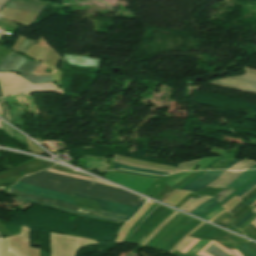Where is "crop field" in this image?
I'll return each mask as SVG.
<instances>
[{
  "instance_id": "8a807250",
  "label": "crop field",
  "mask_w": 256,
  "mask_h": 256,
  "mask_svg": "<svg viewBox=\"0 0 256 256\" xmlns=\"http://www.w3.org/2000/svg\"><path fill=\"white\" fill-rule=\"evenodd\" d=\"M53 176H58L55 178ZM20 182L54 190L57 192L71 194V192L113 201L122 204L137 206L143 199L125 190L109 187L106 185L70 178L63 175L41 171L27 175L20 179Z\"/></svg>"
},
{
  "instance_id": "ac0d7876",
  "label": "crop field",
  "mask_w": 256,
  "mask_h": 256,
  "mask_svg": "<svg viewBox=\"0 0 256 256\" xmlns=\"http://www.w3.org/2000/svg\"><path fill=\"white\" fill-rule=\"evenodd\" d=\"M0 84L4 96L31 92L63 94L62 90L53 83L33 84L16 73H0Z\"/></svg>"
},
{
  "instance_id": "34b2d1b8",
  "label": "crop field",
  "mask_w": 256,
  "mask_h": 256,
  "mask_svg": "<svg viewBox=\"0 0 256 256\" xmlns=\"http://www.w3.org/2000/svg\"><path fill=\"white\" fill-rule=\"evenodd\" d=\"M246 74L212 81V84L256 94V71L245 68Z\"/></svg>"
},
{
  "instance_id": "412701ff",
  "label": "crop field",
  "mask_w": 256,
  "mask_h": 256,
  "mask_svg": "<svg viewBox=\"0 0 256 256\" xmlns=\"http://www.w3.org/2000/svg\"><path fill=\"white\" fill-rule=\"evenodd\" d=\"M71 195L89 199V200L98 201L101 210L123 214V215L127 216L124 220H128L131 216H133L138 211V209L142 206V204L145 203V201H146L144 199L137 207H133V206L116 204V203H112V202H108V201H103V200H99V199H94V198H90V197H86V196H82V195H78V194H74V193H72Z\"/></svg>"
},
{
  "instance_id": "f4fd0767",
  "label": "crop field",
  "mask_w": 256,
  "mask_h": 256,
  "mask_svg": "<svg viewBox=\"0 0 256 256\" xmlns=\"http://www.w3.org/2000/svg\"><path fill=\"white\" fill-rule=\"evenodd\" d=\"M11 188H14V189L26 192V193L42 195V196H46V197H50V198H54V199H57V200H61V201H65V202H68V203L75 204L74 200L71 199V197L69 195H65V194L54 192V191L42 189V188L31 186V185H28V184L18 182L17 184L13 185Z\"/></svg>"
},
{
  "instance_id": "dd49c442",
  "label": "crop field",
  "mask_w": 256,
  "mask_h": 256,
  "mask_svg": "<svg viewBox=\"0 0 256 256\" xmlns=\"http://www.w3.org/2000/svg\"><path fill=\"white\" fill-rule=\"evenodd\" d=\"M39 65H40V63L29 58L23 64V66L17 71V73H19L25 79H27L33 83L51 82L54 75L35 76L34 74H32Z\"/></svg>"
},
{
  "instance_id": "e52e79f7",
  "label": "crop field",
  "mask_w": 256,
  "mask_h": 256,
  "mask_svg": "<svg viewBox=\"0 0 256 256\" xmlns=\"http://www.w3.org/2000/svg\"><path fill=\"white\" fill-rule=\"evenodd\" d=\"M47 5V2L37 0H9L5 6L41 14Z\"/></svg>"
},
{
  "instance_id": "d8731c3e",
  "label": "crop field",
  "mask_w": 256,
  "mask_h": 256,
  "mask_svg": "<svg viewBox=\"0 0 256 256\" xmlns=\"http://www.w3.org/2000/svg\"><path fill=\"white\" fill-rule=\"evenodd\" d=\"M8 193L16 195V196L23 197V198H27V199H31V200H37V201L44 202V203H49V204H52V205H59V206L66 207V208H69V209H73V210H77V211H80V212H84V213H88V214L97 215V216L102 217V215H100V214L82 211L76 205L68 204V203H65V202L57 201V200L42 197V196L26 194V193H23V192H20V191L11 189V188L9 189Z\"/></svg>"
},
{
  "instance_id": "5a996713",
  "label": "crop field",
  "mask_w": 256,
  "mask_h": 256,
  "mask_svg": "<svg viewBox=\"0 0 256 256\" xmlns=\"http://www.w3.org/2000/svg\"><path fill=\"white\" fill-rule=\"evenodd\" d=\"M224 172L225 171H206L198 179L193 181L191 184H189L182 190H189L197 193L203 187L207 186L208 184L213 182L215 179H217Z\"/></svg>"
},
{
  "instance_id": "3316defc",
  "label": "crop field",
  "mask_w": 256,
  "mask_h": 256,
  "mask_svg": "<svg viewBox=\"0 0 256 256\" xmlns=\"http://www.w3.org/2000/svg\"><path fill=\"white\" fill-rule=\"evenodd\" d=\"M27 57L12 51L0 62V72L16 71Z\"/></svg>"
},
{
  "instance_id": "28ad6ade",
  "label": "crop field",
  "mask_w": 256,
  "mask_h": 256,
  "mask_svg": "<svg viewBox=\"0 0 256 256\" xmlns=\"http://www.w3.org/2000/svg\"><path fill=\"white\" fill-rule=\"evenodd\" d=\"M256 174V170H250L243 173L239 178H237L233 183H231L225 190H223L221 193H219L215 198L219 202L222 201L224 198L229 196L231 193L235 192L239 187H241L247 180H249L253 175Z\"/></svg>"
},
{
  "instance_id": "d1516ede",
  "label": "crop field",
  "mask_w": 256,
  "mask_h": 256,
  "mask_svg": "<svg viewBox=\"0 0 256 256\" xmlns=\"http://www.w3.org/2000/svg\"><path fill=\"white\" fill-rule=\"evenodd\" d=\"M101 59L64 54V61L73 65L99 67Z\"/></svg>"
},
{
  "instance_id": "22f410ed",
  "label": "crop field",
  "mask_w": 256,
  "mask_h": 256,
  "mask_svg": "<svg viewBox=\"0 0 256 256\" xmlns=\"http://www.w3.org/2000/svg\"><path fill=\"white\" fill-rule=\"evenodd\" d=\"M243 172H229L226 171L223 175H221L216 181H214L209 186L211 187H226L232 181H234L237 177H239Z\"/></svg>"
},
{
  "instance_id": "cbeb9de0",
  "label": "crop field",
  "mask_w": 256,
  "mask_h": 256,
  "mask_svg": "<svg viewBox=\"0 0 256 256\" xmlns=\"http://www.w3.org/2000/svg\"><path fill=\"white\" fill-rule=\"evenodd\" d=\"M208 199H210V197H202L199 199H192L190 198L187 202H185L180 208L184 209L188 212L192 211L194 208H196L197 206L201 205L202 203H204L205 201H207Z\"/></svg>"
},
{
  "instance_id": "5142ce71",
  "label": "crop field",
  "mask_w": 256,
  "mask_h": 256,
  "mask_svg": "<svg viewBox=\"0 0 256 256\" xmlns=\"http://www.w3.org/2000/svg\"><path fill=\"white\" fill-rule=\"evenodd\" d=\"M215 241H211L209 244H207L201 251H199L197 254L198 255H202V256H211L207 253H205L204 251ZM217 247H219L220 249H222L223 251H225L227 254H229L230 256H243L241 253H239L237 250L234 249H229V248H225L222 247L216 243H214Z\"/></svg>"
},
{
  "instance_id": "d9b57169",
  "label": "crop field",
  "mask_w": 256,
  "mask_h": 256,
  "mask_svg": "<svg viewBox=\"0 0 256 256\" xmlns=\"http://www.w3.org/2000/svg\"><path fill=\"white\" fill-rule=\"evenodd\" d=\"M219 202L215 199H210L209 201L205 202L204 204H202L201 206H199L198 208H196L195 210H193L191 213L199 216L202 213L206 212L207 210H209L210 208L214 207L215 205H217Z\"/></svg>"
},
{
  "instance_id": "733c2abd",
  "label": "crop field",
  "mask_w": 256,
  "mask_h": 256,
  "mask_svg": "<svg viewBox=\"0 0 256 256\" xmlns=\"http://www.w3.org/2000/svg\"><path fill=\"white\" fill-rule=\"evenodd\" d=\"M114 167L121 168V169H126V170H131V171H139L143 173H149V174H157V175H168V173H163V172H157V171H151V170H145V169H139V168H134L130 166H126L123 164L115 163L113 164Z\"/></svg>"
},
{
  "instance_id": "4a817a6b",
  "label": "crop field",
  "mask_w": 256,
  "mask_h": 256,
  "mask_svg": "<svg viewBox=\"0 0 256 256\" xmlns=\"http://www.w3.org/2000/svg\"><path fill=\"white\" fill-rule=\"evenodd\" d=\"M21 199H22V198H21ZM23 200L28 201V202H31V203H35V204L47 206V207H56V206L46 205V204L38 203V202H35V201L27 200V199H23ZM56 208H57V209H60V210L67 211V212H71V213H74V214H79V215H82V216H87V217H93V218H99V219H105V220L115 221V220H111V219H107V218H101V217H96V216H92V215L83 214V213H80V212H77V211H73V210H69V209H65V208H60V207H56ZM116 222H119V221H116Z\"/></svg>"
},
{
  "instance_id": "bc2a9ffb",
  "label": "crop field",
  "mask_w": 256,
  "mask_h": 256,
  "mask_svg": "<svg viewBox=\"0 0 256 256\" xmlns=\"http://www.w3.org/2000/svg\"><path fill=\"white\" fill-rule=\"evenodd\" d=\"M247 159H242L241 161H239L238 163H236L234 166H232L230 168V170H243V169H248L251 166L255 165L256 162H252L251 160H248L247 162H245ZM245 162V163H244Z\"/></svg>"
},
{
  "instance_id": "214f88e0",
  "label": "crop field",
  "mask_w": 256,
  "mask_h": 256,
  "mask_svg": "<svg viewBox=\"0 0 256 256\" xmlns=\"http://www.w3.org/2000/svg\"><path fill=\"white\" fill-rule=\"evenodd\" d=\"M46 170L51 171V172H55V173H59V174H63V175H67V176H71V177H75V178L95 181V182H99V183H102V184H106V185L112 186V185H110V184H108L106 182H102V181H99V180H96V179H92V178H89V177H85V176L74 175V174H70V173H66V172H62V171H58V170H52V169H46Z\"/></svg>"
},
{
  "instance_id": "92a150f3",
  "label": "crop field",
  "mask_w": 256,
  "mask_h": 256,
  "mask_svg": "<svg viewBox=\"0 0 256 256\" xmlns=\"http://www.w3.org/2000/svg\"><path fill=\"white\" fill-rule=\"evenodd\" d=\"M114 161L119 162V163H123V164H126V165H130V166H134V167H140V168H146V169H152V170H158V171L171 173V170L155 168V167H150V166H144V165H138V164H134V163H131V162L119 160V159H116V158L114 159Z\"/></svg>"
},
{
  "instance_id": "dafd665d",
  "label": "crop field",
  "mask_w": 256,
  "mask_h": 256,
  "mask_svg": "<svg viewBox=\"0 0 256 256\" xmlns=\"http://www.w3.org/2000/svg\"><path fill=\"white\" fill-rule=\"evenodd\" d=\"M35 41H32L28 38L25 39V41L22 43V45L19 47L18 51L26 54L28 50L33 46Z\"/></svg>"
},
{
  "instance_id": "00972430",
  "label": "crop field",
  "mask_w": 256,
  "mask_h": 256,
  "mask_svg": "<svg viewBox=\"0 0 256 256\" xmlns=\"http://www.w3.org/2000/svg\"><path fill=\"white\" fill-rule=\"evenodd\" d=\"M206 252L212 254L213 256H229L213 244L206 250Z\"/></svg>"
},
{
  "instance_id": "a9b5d70f",
  "label": "crop field",
  "mask_w": 256,
  "mask_h": 256,
  "mask_svg": "<svg viewBox=\"0 0 256 256\" xmlns=\"http://www.w3.org/2000/svg\"><path fill=\"white\" fill-rule=\"evenodd\" d=\"M215 158L217 157H214V158H203L199 163H197L193 168H191L190 170L194 171L195 168L200 165L201 167L198 168L197 170H201L203 169L206 165H208L211 161H213Z\"/></svg>"
},
{
  "instance_id": "4177f3b9",
  "label": "crop field",
  "mask_w": 256,
  "mask_h": 256,
  "mask_svg": "<svg viewBox=\"0 0 256 256\" xmlns=\"http://www.w3.org/2000/svg\"><path fill=\"white\" fill-rule=\"evenodd\" d=\"M231 222H232V217L228 213L224 217H222L220 220H218L215 224L225 227Z\"/></svg>"
},
{
  "instance_id": "730fd06b",
  "label": "crop field",
  "mask_w": 256,
  "mask_h": 256,
  "mask_svg": "<svg viewBox=\"0 0 256 256\" xmlns=\"http://www.w3.org/2000/svg\"><path fill=\"white\" fill-rule=\"evenodd\" d=\"M209 241L208 240H201L198 244H196L188 254H196L202 247H204Z\"/></svg>"
},
{
  "instance_id": "eef30255",
  "label": "crop field",
  "mask_w": 256,
  "mask_h": 256,
  "mask_svg": "<svg viewBox=\"0 0 256 256\" xmlns=\"http://www.w3.org/2000/svg\"><path fill=\"white\" fill-rule=\"evenodd\" d=\"M0 106H1L2 111H3L4 119H6L7 121H9L11 123V119H10V116H9V113H8V109H7V106H6L5 101H4L3 98H0Z\"/></svg>"
},
{
  "instance_id": "ae1a2a85",
  "label": "crop field",
  "mask_w": 256,
  "mask_h": 256,
  "mask_svg": "<svg viewBox=\"0 0 256 256\" xmlns=\"http://www.w3.org/2000/svg\"><path fill=\"white\" fill-rule=\"evenodd\" d=\"M199 161V160H198ZM198 161H194V162H190V163H186V164H181L179 165L174 171L173 173L177 172V171H186L189 170L193 165H195Z\"/></svg>"
},
{
  "instance_id": "d3111659",
  "label": "crop field",
  "mask_w": 256,
  "mask_h": 256,
  "mask_svg": "<svg viewBox=\"0 0 256 256\" xmlns=\"http://www.w3.org/2000/svg\"><path fill=\"white\" fill-rule=\"evenodd\" d=\"M200 239L194 238L187 246H185L181 252L186 253L188 250H190Z\"/></svg>"
},
{
  "instance_id": "750c4746",
  "label": "crop field",
  "mask_w": 256,
  "mask_h": 256,
  "mask_svg": "<svg viewBox=\"0 0 256 256\" xmlns=\"http://www.w3.org/2000/svg\"><path fill=\"white\" fill-rule=\"evenodd\" d=\"M101 213L104 217L115 218V219H120V220H122L124 218V216L111 214V213H107V212H103V211H101Z\"/></svg>"
},
{
  "instance_id": "bd1437ed",
  "label": "crop field",
  "mask_w": 256,
  "mask_h": 256,
  "mask_svg": "<svg viewBox=\"0 0 256 256\" xmlns=\"http://www.w3.org/2000/svg\"><path fill=\"white\" fill-rule=\"evenodd\" d=\"M253 214H254V213H253V211H252L248 216L246 215L247 217L243 218L241 221H239V222H238L237 224H235L234 226H235V227L241 226L243 223H245L247 220H249Z\"/></svg>"
},
{
  "instance_id": "1d83c4d3",
  "label": "crop field",
  "mask_w": 256,
  "mask_h": 256,
  "mask_svg": "<svg viewBox=\"0 0 256 256\" xmlns=\"http://www.w3.org/2000/svg\"><path fill=\"white\" fill-rule=\"evenodd\" d=\"M254 195H256V189H254L251 193H249L247 196L241 198L245 203L250 200Z\"/></svg>"
},
{
  "instance_id": "120bbe31",
  "label": "crop field",
  "mask_w": 256,
  "mask_h": 256,
  "mask_svg": "<svg viewBox=\"0 0 256 256\" xmlns=\"http://www.w3.org/2000/svg\"><path fill=\"white\" fill-rule=\"evenodd\" d=\"M222 210H224L223 208H218L217 210H215L214 212H212L211 214H209L208 216H206L204 219H211L213 216H215L216 214H218L219 212H221Z\"/></svg>"
},
{
  "instance_id": "d32e631a",
  "label": "crop field",
  "mask_w": 256,
  "mask_h": 256,
  "mask_svg": "<svg viewBox=\"0 0 256 256\" xmlns=\"http://www.w3.org/2000/svg\"><path fill=\"white\" fill-rule=\"evenodd\" d=\"M256 184V179L252 182V183H250L244 190H242L239 194H237V195H242V194H244L246 191H248L251 187H253L254 185Z\"/></svg>"
},
{
  "instance_id": "5866460e",
  "label": "crop field",
  "mask_w": 256,
  "mask_h": 256,
  "mask_svg": "<svg viewBox=\"0 0 256 256\" xmlns=\"http://www.w3.org/2000/svg\"><path fill=\"white\" fill-rule=\"evenodd\" d=\"M193 238L188 237L185 241H183L178 247L177 250H181L186 244H188Z\"/></svg>"
},
{
  "instance_id": "028f5c9d",
  "label": "crop field",
  "mask_w": 256,
  "mask_h": 256,
  "mask_svg": "<svg viewBox=\"0 0 256 256\" xmlns=\"http://www.w3.org/2000/svg\"><path fill=\"white\" fill-rule=\"evenodd\" d=\"M1 123H2L3 130H5L7 133H9L11 136H13L12 128H10L9 126H7V125L4 124L3 122H1Z\"/></svg>"
},
{
  "instance_id": "e1f06a70",
  "label": "crop field",
  "mask_w": 256,
  "mask_h": 256,
  "mask_svg": "<svg viewBox=\"0 0 256 256\" xmlns=\"http://www.w3.org/2000/svg\"><path fill=\"white\" fill-rule=\"evenodd\" d=\"M190 173H191V172L185 173L183 176H181L180 178H178V179L172 181V182L169 183L168 185L172 186V185L176 184L177 182H179L180 180H182L183 178H185V177H186L187 175H189Z\"/></svg>"
},
{
  "instance_id": "0bd39190",
  "label": "crop field",
  "mask_w": 256,
  "mask_h": 256,
  "mask_svg": "<svg viewBox=\"0 0 256 256\" xmlns=\"http://www.w3.org/2000/svg\"><path fill=\"white\" fill-rule=\"evenodd\" d=\"M0 244H1L2 256H5V247H4V243H3V239L2 238H0Z\"/></svg>"
},
{
  "instance_id": "b80d0937",
  "label": "crop field",
  "mask_w": 256,
  "mask_h": 256,
  "mask_svg": "<svg viewBox=\"0 0 256 256\" xmlns=\"http://www.w3.org/2000/svg\"><path fill=\"white\" fill-rule=\"evenodd\" d=\"M240 246L249 254V256H254L244 243L241 244Z\"/></svg>"
},
{
  "instance_id": "c035e120",
  "label": "crop field",
  "mask_w": 256,
  "mask_h": 256,
  "mask_svg": "<svg viewBox=\"0 0 256 256\" xmlns=\"http://www.w3.org/2000/svg\"><path fill=\"white\" fill-rule=\"evenodd\" d=\"M236 162H238L237 160H234L233 162H231L230 164H228L226 167H224L223 169H228L230 168L232 165H234Z\"/></svg>"
},
{
  "instance_id": "c21b1889",
  "label": "crop field",
  "mask_w": 256,
  "mask_h": 256,
  "mask_svg": "<svg viewBox=\"0 0 256 256\" xmlns=\"http://www.w3.org/2000/svg\"><path fill=\"white\" fill-rule=\"evenodd\" d=\"M255 200H256V196L253 197L249 202H247V204L252 205V203H253Z\"/></svg>"
},
{
  "instance_id": "03da06ac",
  "label": "crop field",
  "mask_w": 256,
  "mask_h": 256,
  "mask_svg": "<svg viewBox=\"0 0 256 256\" xmlns=\"http://www.w3.org/2000/svg\"><path fill=\"white\" fill-rule=\"evenodd\" d=\"M254 188H256V185H255L250 191H252ZM250 191H249V192H250ZM249 192H247V193H249ZM247 193H246V194H247ZM246 194H244V195H246ZM244 195H242L241 197H243ZM241 197H240V198H241Z\"/></svg>"
},
{
  "instance_id": "b54c1fbb",
  "label": "crop field",
  "mask_w": 256,
  "mask_h": 256,
  "mask_svg": "<svg viewBox=\"0 0 256 256\" xmlns=\"http://www.w3.org/2000/svg\"><path fill=\"white\" fill-rule=\"evenodd\" d=\"M251 245L255 248V250H256V244H254V243H251Z\"/></svg>"
},
{
  "instance_id": "5d738f31",
  "label": "crop field",
  "mask_w": 256,
  "mask_h": 256,
  "mask_svg": "<svg viewBox=\"0 0 256 256\" xmlns=\"http://www.w3.org/2000/svg\"><path fill=\"white\" fill-rule=\"evenodd\" d=\"M3 95H2V92H1V89H0V97H2Z\"/></svg>"
},
{
  "instance_id": "d23c7cc5",
  "label": "crop field",
  "mask_w": 256,
  "mask_h": 256,
  "mask_svg": "<svg viewBox=\"0 0 256 256\" xmlns=\"http://www.w3.org/2000/svg\"><path fill=\"white\" fill-rule=\"evenodd\" d=\"M0 114H2L1 108H0ZM2 117V115H0Z\"/></svg>"
},
{
  "instance_id": "425ffa30",
  "label": "crop field",
  "mask_w": 256,
  "mask_h": 256,
  "mask_svg": "<svg viewBox=\"0 0 256 256\" xmlns=\"http://www.w3.org/2000/svg\"><path fill=\"white\" fill-rule=\"evenodd\" d=\"M252 168H256V165H255V166H253V167H251L250 169H252Z\"/></svg>"
},
{
  "instance_id": "25e5ab78",
  "label": "crop field",
  "mask_w": 256,
  "mask_h": 256,
  "mask_svg": "<svg viewBox=\"0 0 256 256\" xmlns=\"http://www.w3.org/2000/svg\"><path fill=\"white\" fill-rule=\"evenodd\" d=\"M254 210V212L256 213V208L255 209H253Z\"/></svg>"
},
{
  "instance_id": "73cf0c24",
  "label": "crop field",
  "mask_w": 256,
  "mask_h": 256,
  "mask_svg": "<svg viewBox=\"0 0 256 256\" xmlns=\"http://www.w3.org/2000/svg\"><path fill=\"white\" fill-rule=\"evenodd\" d=\"M0 128L2 129V127H1V123H0Z\"/></svg>"
},
{
  "instance_id": "89e229c0",
  "label": "crop field",
  "mask_w": 256,
  "mask_h": 256,
  "mask_svg": "<svg viewBox=\"0 0 256 256\" xmlns=\"http://www.w3.org/2000/svg\"><path fill=\"white\" fill-rule=\"evenodd\" d=\"M0 237H2V235L0 234Z\"/></svg>"
},
{
  "instance_id": "1f2cbd36",
  "label": "crop field",
  "mask_w": 256,
  "mask_h": 256,
  "mask_svg": "<svg viewBox=\"0 0 256 256\" xmlns=\"http://www.w3.org/2000/svg\"><path fill=\"white\" fill-rule=\"evenodd\" d=\"M254 221H256V219Z\"/></svg>"
},
{
  "instance_id": "dbb93151",
  "label": "crop field",
  "mask_w": 256,
  "mask_h": 256,
  "mask_svg": "<svg viewBox=\"0 0 256 256\" xmlns=\"http://www.w3.org/2000/svg\"><path fill=\"white\" fill-rule=\"evenodd\" d=\"M135 256V255H134Z\"/></svg>"
}]
</instances>
